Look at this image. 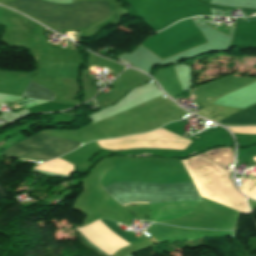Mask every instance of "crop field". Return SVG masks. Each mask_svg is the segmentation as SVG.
I'll return each mask as SVG.
<instances>
[{
    "mask_svg": "<svg viewBox=\"0 0 256 256\" xmlns=\"http://www.w3.org/2000/svg\"><path fill=\"white\" fill-rule=\"evenodd\" d=\"M110 195L119 191H142L155 193H174V192H191L197 191L192 182L174 183V184H150L139 182H118L103 188ZM141 192H119L112 195L121 205L144 201L149 204L170 203L183 201L203 200L198 192L192 193H174V194H155ZM202 201L183 202L170 204L150 205L151 216L154 222L176 219L184 214L191 213ZM143 203L135 202L130 204ZM127 204V205H130ZM125 206V205H124Z\"/></svg>",
    "mask_w": 256,
    "mask_h": 256,
    "instance_id": "8a807250",
    "label": "crop field"
},
{
    "mask_svg": "<svg viewBox=\"0 0 256 256\" xmlns=\"http://www.w3.org/2000/svg\"><path fill=\"white\" fill-rule=\"evenodd\" d=\"M9 4L58 30L88 28L111 14L108 2L52 4L44 0H18Z\"/></svg>",
    "mask_w": 256,
    "mask_h": 256,
    "instance_id": "ac0d7876",
    "label": "crop field"
},
{
    "mask_svg": "<svg viewBox=\"0 0 256 256\" xmlns=\"http://www.w3.org/2000/svg\"><path fill=\"white\" fill-rule=\"evenodd\" d=\"M81 144L83 143L38 133L7 148L2 155L41 163L70 152Z\"/></svg>",
    "mask_w": 256,
    "mask_h": 256,
    "instance_id": "34b2d1b8",
    "label": "crop field"
},
{
    "mask_svg": "<svg viewBox=\"0 0 256 256\" xmlns=\"http://www.w3.org/2000/svg\"><path fill=\"white\" fill-rule=\"evenodd\" d=\"M219 123L228 125L256 124V104L225 117Z\"/></svg>",
    "mask_w": 256,
    "mask_h": 256,
    "instance_id": "412701ff",
    "label": "crop field"
},
{
    "mask_svg": "<svg viewBox=\"0 0 256 256\" xmlns=\"http://www.w3.org/2000/svg\"><path fill=\"white\" fill-rule=\"evenodd\" d=\"M22 97L54 101V93L32 81L28 83Z\"/></svg>",
    "mask_w": 256,
    "mask_h": 256,
    "instance_id": "f4fd0767",
    "label": "crop field"
},
{
    "mask_svg": "<svg viewBox=\"0 0 256 256\" xmlns=\"http://www.w3.org/2000/svg\"><path fill=\"white\" fill-rule=\"evenodd\" d=\"M100 221L103 222L105 225H107L110 229H112L114 232H116L118 235H120L123 239H125L130 244L135 243V242H139L138 239H136L135 237H133L129 233L121 230L120 227L115 222H113L111 220H105V219H102ZM78 234L82 239H84L88 244H90L92 247H94L96 250H98L104 256H109L105 252H103L101 249H99L96 245H94L92 242H90L87 238H85L83 235H81L79 232H78Z\"/></svg>",
    "mask_w": 256,
    "mask_h": 256,
    "instance_id": "dd49c442",
    "label": "crop field"
},
{
    "mask_svg": "<svg viewBox=\"0 0 256 256\" xmlns=\"http://www.w3.org/2000/svg\"><path fill=\"white\" fill-rule=\"evenodd\" d=\"M11 106H13V107L17 108L14 104H11Z\"/></svg>",
    "mask_w": 256,
    "mask_h": 256,
    "instance_id": "e52e79f7",
    "label": "crop field"
},
{
    "mask_svg": "<svg viewBox=\"0 0 256 256\" xmlns=\"http://www.w3.org/2000/svg\"><path fill=\"white\" fill-rule=\"evenodd\" d=\"M246 256H253V255H249V254H247Z\"/></svg>",
    "mask_w": 256,
    "mask_h": 256,
    "instance_id": "d8731c3e",
    "label": "crop field"
}]
</instances>
